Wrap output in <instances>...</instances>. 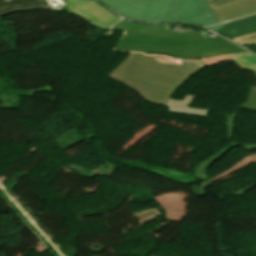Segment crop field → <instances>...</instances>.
Here are the masks:
<instances>
[{
  "label": "crop field",
  "mask_w": 256,
  "mask_h": 256,
  "mask_svg": "<svg viewBox=\"0 0 256 256\" xmlns=\"http://www.w3.org/2000/svg\"><path fill=\"white\" fill-rule=\"evenodd\" d=\"M200 61L130 53L107 76L138 91L145 100L166 106L173 92L197 70L206 66Z\"/></svg>",
  "instance_id": "8a807250"
},
{
  "label": "crop field",
  "mask_w": 256,
  "mask_h": 256,
  "mask_svg": "<svg viewBox=\"0 0 256 256\" xmlns=\"http://www.w3.org/2000/svg\"><path fill=\"white\" fill-rule=\"evenodd\" d=\"M112 28L126 31L115 50L167 53L188 58L245 52L220 37L202 40L200 31L173 33L125 20Z\"/></svg>",
  "instance_id": "ac0d7876"
},
{
  "label": "crop field",
  "mask_w": 256,
  "mask_h": 256,
  "mask_svg": "<svg viewBox=\"0 0 256 256\" xmlns=\"http://www.w3.org/2000/svg\"><path fill=\"white\" fill-rule=\"evenodd\" d=\"M66 10L71 11L84 19L96 23L100 26L110 27L119 17L114 16L109 11L103 9L92 0H62Z\"/></svg>",
  "instance_id": "34b2d1b8"
},
{
  "label": "crop field",
  "mask_w": 256,
  "mask_h": 256,
  "mask_svg": "<svg viewBox=\"0 0 256 256\" xmlns=\"http://www.w3.org/2000/svg\"><path fill=\"white\" fill-rule=\"evenodd\" d=\"M176 23L206 26L217 20L205 0H184Z\"/></svg>",
  "instance_id": "412701ff"
},
{
  "label": "crop field",
  "mask_w": 256,
  "mask_h": 256,
  "mask_svg": "<svg viewBox=\"0 0 256 256\" xmlns=\"http://www.w3.org/2000/svg\"><path fill=\"white\" fill-rule=\"evenodd\" d=\"M117 13L144 21L153 1L150 0H99Z\"/></svg>",
  "instance_id": "f4fd0767"
},
{
  "label": "crop field",
  "mask_w": 256,
  "mask_h": 256,
  "mask_svg": "<svg viewBox=\"0 0 256 256\" xmlns=\"http://www.w3.org/2000/svg\"><path fill=\"white\" fill-rule=\"evenodd\" d=\"M182 0H154L145 22L175 23Z\"/></svg>",
  "instance_id": "dd49c442"
},
{
  "label": "crop field",
  "mask_w": 256,
  "mask_h": 256,
  "mask_svg": "<svg viewBox=\"0 0 256 256\" xmlns=\"http://www.w3.org/2000/svg\"><path fill=\"white\" fill-rule=\"evenodd\" d=\"M211 10L218 22L232 20L256 12V0H236Z\"/></svg>",
  "instance_id": "e52e79f7"
},
{
  "label": "crop field",
  "mask_w": 256,
  "mask_h": 256,
  "mask_svg": "<svg viewBox=\"0 0 256 256\" xmlns=\"http://www.w3.org/2000/svg\"><path fill=\"white\" fill-rule=\"evenodd\" d=\"M217 32L231 39L256 32V15L231 22L217 30Z\"/></svg>",
  "instance_id": "d8731c3e"
},
{
  "label": "crop field",
  "mask_w": 256,
  "mask_h": 256,
  "mask_svg": "<svg viewBox=\"0 0 256 256\" xmlns=\"http://www.w3.org/2000/svg\"><path fill=\"white\" fill-rule=\"evenodd\" d=\"M52 8L45 0H0V17L13 11Z\"/></svg>",
  "instance_id": "5a996713"
},
{
  "label": "crop field",
  "mask_w": 256,
  "mask_h": 256,
  "mask_svg": "<svg viewBox=\"0 0 256 256\" xmlns=\"http://www.w3.org/2000/svg\"><path fill=\"white\" fill-rule=\"evenodd\" d=\"M194 97L195 96L185 95L183 100L170 99L167 105L168 112L206 117L209 112L208 109L190 107L186 105L191 103Z\"/></svg>",
  "instance_id": "3316defc"
},
{
  "label": "crop field",
  "mask_w": 256,
  "mask_h": 256,
  "mask_svg": "<svg viewBox=\"0 0 256 256\" xmlns=\"http://www.w3.org/2000/svg\"><path fill=\"white\" fill-rule=\"evenodd\" d=\"M239 109L256 111V86L250 87L248 99L242 105H240V107L235 112L229 115L225 121L227 139L229 141H233L232 136L235 127L237 112Z\"/></svg>",
  "instance_id": "28ad6ade"
},
{
  "label": "crop field",
  "mask_w": 256,
  "mask_h": 256,
  "mask_svg": "<svg viewBox=\"0 0 256 256\" xmlns=\"http://www.w3.org/2000/svg\"><path fill=\"white\" fill-rule=\"evenodd\" d=\"M242 145L245 150H252L256 149V145H250V144H235L234 142H231V146L221 150L220 152L207 157L203 162H201L196 171H195V176L194 178L196 179H201V180H207V172L206 169L218 158L223 156L225 153H227L229 150L235 148L236 146Z\"/></svg>",
  "instance_id": "d1516ede"
},
{
  "label": "crop field",
  "mask_w": 256,
  "mask_h": 256,
  "mask_svg": "<svg viewBox=\"0 0 256 256\" xmlns=\"http://www.w3.org/2000/svg\"><path fill=\"white\" fill-rule=\"evenodd\" d=\"M33 94L32 90H0V101L6 105L7 108L19 107L22 97Z\"/></svg>",
  "instance_id": "22f410ed"
},
{
  "label": "crop field",
  "mask_w": 256,
  "mask_h": 256,
  "mask_svg": "<svg viewBox=\"0 0 256 256\" xmlns=\"http://www.w3.org/2000/svg\"><path fill=\"white\" fill-rule=\"evenodd\" d=\"M227 56L237 64L238 68L256 70V56L249 52Z\"/></svg>",
  "instance_id": "cbeb9de0"
},
{
  "label": "crop field",
  "mask_w": 256,
  "mask_h": 256,
  "mask_svg": "<svg viewBox=\"0 0 256 256\" xmlns=\"http://www.w3.org/2000/svg\"><path fill=\"white\" fill-rule=\"evenodd\" d=\"M234 41L246 45V44H256V33L246 35L237 39H233Z\"/></svg>",
  "instance_id": "5142ce71"
},
{
  "label": "crop field",
  "mask_w": 256,
  "mask_h": 256,
  "mask_svg": "<svg viewBox=\"0 0 256 256\" xmlns=\"http://www.w3.org/2000/svg\"><path fill=\"white\" fill-rule=\"evenodd\" d=\"M207 3L209 4V6H216V5H220V4H224L233 0H206Z\"/></svg>",
  "instance_id": "d9b57169"
},
{
  "label": "crop field",
  "mask_w": 256,
  "mask_h": 256,
  "mask_svg": "<svg viewBox=\"0 0 256 256\" xmlns=\"http://www.w3.org/2000/svg\"><path fill=\"white\" fill-rule=\"evenodd\" d=\"M154 27H158V28H162V29L173 31V30H171L172 26H154ZM174 32H176V31H174Z\"/></svg>",
  "instance_id": "733c2abd"
},
{
  "label": "crop field",
  "mask_w": 256,
  "mask_h": 256,
  "mask_svg": "<svg viewBox=\"0 0 256 256\" xmlns=\"http://www.w3.org/2000/svg\"><path fill=\"white\" fill-rule=\"evenodd\" d=\"M229 23V22H228ZM227 23H225V24H222V25H218V26H213V27H209L210 29H212V30H214V31H216L217 29H219L220 27H222V26H224V25H226Z\"/></svg>",
  "instance_id": "4a817a6b"
},
{
  "label": "crop field",
  "mask_w": 256,
  "mask_h": 256,
  "mask_svg": "<svg viewBox=\"0 0 256 256\" xmlns=\"http://www.w3.org/2000/svg\"><path fill=\"white\" fill-rule=\"evenodd\" d=\"M44 90H48V91H50V90H51V87L46 88V89H44ZM40 91H41V90H40ZM33 92H35V91H33Z\"/></svg>",
  "instance_id": "bc2a9ffb"
},
{
  "label": "crop field",
  "mask_w": 256,
  "mask_h": 256,
  "mask_svg": "<svg viewBox=\"0 0 256 256\" xmlns=\"http://www.w3.org/2000/svg\"><path fill=\"white\" fill-rule=\"evenodd\" d=\"M254 74V76L256 77V72L255 73H253Z\"/></svg>",
  "instance_id": "214f88e0"
}]
</instances>
